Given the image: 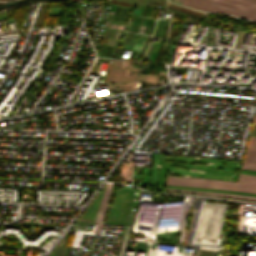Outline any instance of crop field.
<instances>
[{"label": "crop field", "mask_w": 256, "mask_h": 256, "mask_svg": "<svg viewBox=\"0 0 256 256\" xmlns=\"http://www.w3.org/2000/svg\"><path fill=\"white\" fill-rule=\"evenodd\" d=\"M183 5L209 12H222L256 21V0H183Z\"/></svg>", "instance_id": "obj_1"}, {"label": "crop field", "mask_w": 256, "mask_h": 256, "mask_svg": "<svg viewBox=\"0 0 256 256\" xmlns=\"http://www.w3.org/2000/svg\"><path fill=\"white\" fill-rule=\"evenodd\" d=\"M112 186L113 184H107L97 216H96V220L94 224H97L96 226V230L94 234H99L100 230H101V226H102V220L104 218L105 212H106V208L107 205L109 203V199H110V194L112 191Z\"/></svg>", "instance_id": "obj_2"}, {"label": "crop field", "mask_w": 256, "mask_h": 256, "mask_svg": "<svg viewBox=\"0 0 256 256\" xmlns=\"http://www.w3.org/2000/svg\"><path fill=\"white\" fill-rule=\"evenodd\" d=\"M242 168L256 170V139H249Z\"/></svg>", "instance_id": "obj_3"}, {"label": "crop field", "mask_w": 256, "mask_h": 256, "mask_svg": "<svg viewBox=\"0 0 256 256\" xmlns=\"http://www.w3.org/2000/svg\"><path fill=\"white\" fill-rule=\"evenodd\" d=\"M166 188H172V189H186V190H198V191H208V192H220V193H231V194H238V195H246V196H253V197H256V194L244 193V192H236V191L209 190V189H199V188L180 187V186H170V185H166Z\"/></svg>", "instance_id": "obj_4"}, {"label": "crop field", "mask_w": 256, "mask_h": 256, "mask_svg": "<svg viewBox=\"0 0 256 256\" xmlns=\"http://www.w3.org/2000/svg\"><path fill=\"white\" fill-rule=\"evenodd\" d=\"M130 228H131V226H127L126 227V231H125V235H124V239H123V243H122V247H121L119 256H122L123 249H124V246H125V242H126L127 236L129 235Z\"/></svg>", "instance_id": "obj_5"}, {"label": "crop field", "mask_w": 256, "mask_h": 256, "mask_svg": "<svg viewBox=\"0 0 256 256\" xmlns=\"http://www.w3.org/2000/svg\"><path fill=\"white\" fill-rule=\"evenodd\" d=\"M241 173L243 174H251V175H256V171H252V170H241Z\"/></svg>", "instance_id": "obj_6"}, {"label": "crop field", "mask_w": 256, "mask_h": 256, "mask_svg": "<svg viewBox=\"0 0 256 256\" xmlns=\"http://www.w3.org/2000/svg\"><path fill=\"white\" fill-rule=\"evenodd\" d=\"M253 124H256V113H255V118H254Z\"/></svg>", "instance_id": "obj_7"}]
</instances>
